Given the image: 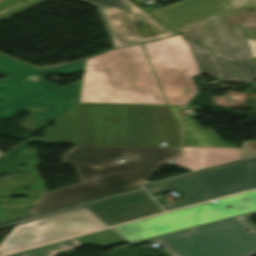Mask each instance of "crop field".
Listing matches in <instances>:
<instances>
[{
	"mask_svg": "<svg viewBox=\"0 0 256 256\" xmlns=\"http://www.w3.org/2000/svg\"><path fill=\"white\" fill-rule=\"evenodd\" d=\"M177 123L168 106L80 104L23 143L180 146Z\"/></svg>",
	"mask_w": 256,
	"mask_h": 256,
	"instance_id": "obj_1",
	"label": "crop field"
},
{
	"mask_svg": "<svg viewBox=\"0 0 256 256\" xmlns=\"http://www.w3.org/2000/svg\"><path fill=\"white\" fill-rule=\"evenodd\" d=\"M180 155V147L76 145L62 154V164H72L80 182L46 192L29 211L33 215L138 187L163 162Z\"/></svg>",
	"mask_w": 256,
	"mask_h": 256,
	"instance_id": "obj_2",
	"label": "crop field"
},
{
	"mask_svg": "<svg viewBox=\"0 0 256 256\" xmlns=\"http://www.w3.org/2000/svg\"><path fill=\"white\" fill-rule=\"evenodd\" d=\"M80 102L167 104L140 44L85 60Z\"/></svg>",
	"mask_w": 256,
	"mask_h": 256,
	"instance_id": "obj_3",
	"label": "crop field"
},
{
	"mask_svg": "<svg viewBox=\"0 0 256 256\" xmlns=\"http://www.w3.org/2000/svg\"><path fill=\"white\" fill-rule=\"evenodd\" d=\"M83 66L84 61H79L38 71L0 55V73L8 76L0 80V119L18 115L19 110L30 105L46 109L31 116L38 120L63 115L79 104L82 79L60 88L55 83H48L43 76L54 73L70 75L82 72ZM32 75L38 76L39 81L27 80Z\"/></svg>",
	"mask_w": 256,
	"mask_h": 256,
	"instance_id": "obj_4",
	"label": "crop field"
},
{
	"mask_svg": "<svg viewBox=\"0 0 256 256\" xmlns=\"http://www.w3.org/2000/svg\"><path fill=\"white\" fill-rule=\"evenodd\" d=\"M252 215L256 211L145 241H156L172 256H254L256 226L248 220Z\"/></svg>",
	"mask_w": 256,
	"mask_h": 256,
	"instance_id": "obj_5",
	"label": "crop field"
},
{
	"mask_svg": "<svg viewBox=\"0 0 256 256\" xmlns=\"http://www.w3.org/2000/svg\"><path fill=\"white\" fill-rule=\"evenodd\" d=\"M169 104L185 105L198 91L199 72L181 35L142 44Z\"/></svg>",
	"mask_w": 256,
	"mask_h": 256,
	"instance_id": "obj_6",
	"label": "crop field"
},
{
	"mask_svg": "<svg viewBox=\"0 0 256 256\" xmlns=\"http://www.w3.org/2000/svg\"><path fill=\"white\" fill-rule=\"evenodd\" d=\"M107 227L85 207L18 224L0 243V254Z\"/></svg>",
	"mask_w": 256,
	"mask_h": 256,
	"instance_id": "obj_7",
	"label": "crop field"
},
{
	"mask_svg": "<svg viewBox=\"0 0 256 256\" xmlns=\"http://www.w3.org/2000/svg\"><path fill=\"white\" fill-rule=\"evenodd\" d=\"M82 1L99 8L115 48L177 35L129 0Z\"/></svg>",
	"mask_w": 256,
	"mask_h": 256,
	"instance_id": "obj_8",
	"label": "crop field"
},
{
	"mask_svg": "<svg viewBox=\"0 0 256 256\" xmlns=\"http://www.w3.org/2000/svg\"><path fill=\"white\" fill-rule=\"evenodd\" d=\"M181 29L185 39L200 41L220 59L246 60L253 57L241 29L222 23L218 15Z\"/></svg>",
	"mask_w": 256,
	"mask_h": 256,
	"instance_id": "obj_9",
	"label": "crop field"
},
{
	"mask_svg": "<svg viewBox=\"0 0 256 256\" xmlns=\"http://www.w3.org/2000/svg\"><path fill=\"white\" fill-rule=\"evenodd\" d=\"M202 205L115 227L114 229L130 243L152 236L181 230L195 225Z\"/></svg>",
	"mask_w": 256,
	"mask_h": 256,
	"instance_id": "obj_10",
	"label": "crop field"
},
{
	"mask_svg": "<svg viewBox=\"0 0 256 256\" xmlns=\"http://www.w3.org/2000/svg\"><path fill=\"white\" fill-rule=\"evenodd\" d=\"M232 9L227 0H183L150 12L178 33L180 27Z\"/></svg>",
	"mask_w": 256,
	"mask_h": 256,
	"instance_id": "obj_11",
	"label": "crop field"
},
{
	"mask_svg": "<svg viewBox=\"0 0 256 256\" xmlns=\"http://www.w3.org/2000/svg\"><path fill=\"white\" fill-rule=\"evenodd\" d=\"M86 208L108 226L162 211L145 191Z\"/></svg>",
	"mask_w": 256,
	"mask_h": 256,
	"instance_id": "obj_12",
	"label": "crop field"
},
{
	"mask_svg": "<svg viewBox=\"0 0 256 256\" xmlns=\"http://www.w3.org/2000/svg\"><path fill=\"white\" fill-rule=\"evenodd\" d=\"M201 74H218L221 82L256 81V67L252 60L226 62L215 58L197 42H187Z\"/></svg>",
	"mask_w": 256,
	"mask_h": 256,
	"instance_id": "obj_13",
	"label": "crop field"
},
{
	"mask_svg": "<svg viewBox=\"0 0 256 256\" xmlns=\"http://www.w3.org/2000/svg\"><path fill=\"white\" fill-rule=\"evenodd\" d=\"M202 177L210 189L207 199L239 192L242 189H247L248 186L245 163L202 174Z\"/></svg>",
	"mask_w": 256,
	"mask_h": 256,
	"instance_id": "obj_14",
	"label": "crop field"
},
{
	"mask_svg": "<svg viewBox=\"0 0 256 256\" xmlns=\"http://www.w3.org/2000/svg\"><path fill=\"white\" fill-rule=\"evenodd\" d=\"M216 202V204L208 202L203 205L196 225L256 210V201L247 193L223 198ZM227 205L232 207L225 208Z\"/></svg>",
	"mask_w": 256,
	"mask_h": 256,
	"instance_id": "obj_15",
	"label": "crop field"
},
{
	"mask_svg": "<svg viewBox=\"0 0 256 256\" xmlns=\"http://www.w3.org/2000/svg\"><path fill=\"white\" fill-rule=\"evenodd\" d=\"M184 156L174 163L192 171L237 159H241L239 149L183 148Z\"/></svg>",
	"mask_w": 256,
	"mask_h": 256,
	"instance_id": "obj_16",
	"label": "crop field"
},
{
	"mask_svg": "<svg viewBox=\"0 0 256 256\" xmlns=\"http://www.w3.org/2000/svg\"><path fill=\"white\" fill-rule=\"evenodd\" d=\"M174 189L184 198L162 203L166 211L206 199L208 188L201 175L147 190L151 195Z\"/></svg>",
	"mask_w": 256,
	"mask_h": 256,
	"instance_id": "obj_17",
	"label": "crop field"
},
{
	"mask_svg": "<svg viewBox=\"0 0 256 256\" xmlns=\"http://www.w3.org/2000/svg\"><path fill=\"white\" fill-rule=\"evenodd\" d=\"M182 126L201 147L238 148L235 144L222 141L211 129H202L192 118L182 120Z\"/></svg>",
	"mask_w": 256,
	"mask_h": 256,
	"instance_id": "obj_18",
	"label": "crop field"
},
{
	"mask_svg": "<svg viewBox=\"0 0 256 256\" xmlns=\"http://www.w3.org/2000/svg\"><path fill=\"white\" fill-rule=\"evenodd\" d=\"M81 245L78 241L73 238L69 240H65L62 242H58L55 244L47 245L44 247L36 248L33 250L9 255V256H56V254L60 251L80 247Z\"/></svg>",
	"mask_w": 256,
	"mask_h": 256,
	"instance_id": "obj_19",
	"label": "crop field"
},
{
	"mask_svg": "<svg viewBox=\"0 0 256 256\" xmlns=\"http://www.w3.org/2000/svg\"><path fill=\"white\" fill-rule=\"evenodd\" d=\"M76 239L79 241V243L82 246L90 244V245H99V246L107 247V246L125 242L111 229L77 237Z\"/></svg>",
	"mask_w": 256,
	"mask_h": 256,
	"instance_id": "obj_20",
	"label": "crop field"
},
{
	"mask_svg": "<svg viewBox=\"0 0 256 256\" xmlns=\"http://www.w3.org/2000/svg\"><path fill=\"white\" fill-rule=\"evenodd\" d=\"M231 5L233 6V8H237V7H242V6H247V7H255L256 8V0H228ZM249 47L251 49V52L253 54L254 57H256V40H250V39H246Z\"/></svg>",
	"mask_w": 256,
	"mask_h": 256,
	"instance_id": "obj_21",
	"label": "crop field"
},
{
	"mask_svg": "<svg viewBox=\"0 0 256 256\" xmlns=\"http://www.w3.org/2000/svg\"><path fill=\"white\" fill-rule=\"evenodd\" d=\"M240 153L242 158L256 155V141H243V146L240 149Z\"/></svg>",
	"mask_w": 256,
	"mask_h": 256,
	"instance_id": "obj_22",
	"label": "crop field"
},
{
	"mask_svg": "<svg viewBox=\"0 0 256 256\" xmlns=\"http://www.w3.org/2000/svg\"><path fill=\"white\" fill-rule=\"evenodd\" d=\"M246 165L249 177L248 189L256 188V160L247 162Z\"/></svg>",
	"mask_w": 256,
	"mask_h": 256,
	"instance_id": "obj_23",
	"label": "crop field"
},
{
	"mask_svg": "<svg viewBox=\"0 0 256 256\" xmlns=\"http://www.w3.org/2000/svg\"><path fill=\"white\" fill-rule=\"evenodd\" d=\"M183 147H199L194 140L182 129Z\"/></svg>",
	"mask_w": 256,
	"mask_h": 256,
	"instance_id": "obj_24",
	"label": "crop field"
},
{
	"mask_svg": "<svg viewBox=\"0 0 256 256\" xmlns=\"http://www.w3.org/2000/svg\"><path fill=\"white\" fill-rule=\"evenodd\" d=\"M172 110L173 115L177 118L179 121V107H170Z\"/></svg>",
	"mask_w": 256,
	"mask_h": 256,
	"instance_id": "obj_25",
	"label": "crop field"
},
{
	"mask_svg": "<svg viewBox=\"0 0 256 256\" xmlns=\"http://www.w3.org/2000/svg\"><path fill=\"white\" fill-rule=\"evenodd\" d=\"M254 200H256V191L248 193Z\"/></svg>",
	"mask_w": 256,
	"mask_h": 256,
	"instance_id": "obj_26",
	"label": "crop field"
},
{
	"mask_svg": "<svg viewBox=\"0 0 256 256\" xmlns=\"http://www.w3.org/2000/svg\"><path fill=\"white\" fill-rule=\"evenodd\" d=\"M201 107L185 106L183 109H200Z\"/></svg>",
	"mask_w": 256,
	"mask_h": 256,
	"instance_id": "obj_27",
	"label": "crop field"
},
{
	"mask_svg": "<svg viewBox=\"0 0 256 256\" xmlns=\"http://www.w3.org/2000/svg\"><path fill=\"white\" fill-rule=\"evenodd\" d=\"M3 155V153L0 151V156Z\"/></svg>",
	"mask_w": 256,
	"mask_h": 256,
	"instance_id": "obj_28",
	"label": "crop field"
},
{
	"mask_svg": "<svg viewBox=\"0 0 256 256\" xmlns=\"http://www.w3.org/2000/svg\"><path fill=\"white\" fill-rule=\"evenodd\" d=\"M256 59V58H255Z\"/></svg>",
	"mask_w": 256,
	"mask_h": 256,
	"instance_id": "obj_29",
	"label": "crop field"
}]
</instances>
